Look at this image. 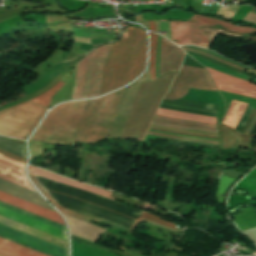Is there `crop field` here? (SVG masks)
I'll return each mask as SVG.
<instances>
[{
    "mask_svg": "<svg viewBox=\"0 0 256 256\" xmlns=\"http://www.w3.org/2000/svg\"><path fill=\"white\" fill-rule=\"evenodd\" d=\"M176 73L152 82L149 66L133 84L107 96L89 101L64 103L53 109L33 135V140L73 145L91 143L107 137L144 138L162 97Z\"/></svg>",
    "mask_w": 256,
    "mask_h": 256,
    "instance_id": "obj_1",
    "label": "crop field"
},
{
    "mask_svg": "<svg viewBox=\"0 0 256 256\" xmlns=\"http://www.w3.org/2000/svg\"><path fill=\"white\" fill-rule=\"evenodd\" d=\"M128 39L121 38L114 43L105 62L102 75L100 95L119 88L132 81L139 75L146 59L147 38L146 32L132 27L127 28Z\"/></svg>",
    "mask_w": 256,
    "mask_h": 256,
    "instance_id": "obj_2",
    "label": "crop field"
},
{
    "mask_svg": "<svg viewBox=\"0 0 256 256\" xmlns=\"http://www.w3.org/2000/svg\"><path fill=\"white\" fill-rule=\"evenodd\" d=\"M227 30L236 31L239 33H246L256 31V29L246 28V27H237L230 23L205 18L203 16L194 15L191 19L186 22H170V29L172 32V42L177 45H186V44H201V43H212L218 34L229 36V37H247L255 34L256 32L239 34L236 32H231ZM205 26H213L214 27H204ZM202 26V27H201ZM205 35L208 37H205Z\"/></svg>",
    "mask_w": 256,
    "mask_h": 256,
    "instance_id": "obj_3",
    "label": "crop field"
},
{
    "mask_svg": "<svg viewBox=\"0 0 256 256\" xmlns=\"http://www.w3.org/2000/svg\"><path fill=\"white\" fill-rule=\"evenodd\" d=\"M111 46L98 47L79 62L72 99L99 95L102 70Z\"/></svg>",
    "mask_w": 256,
    "mask_h": 256,
    "instance_id": "obj_4",
    "label": "crop field"
},
{
    "mask_svg": "<svg viewBox=\"0 0 256 256\" xmlns=\"http://www.w3.org/2000/svg\"><path fill=\"white\" fill-rule=\"evenodd\" d=\"M46 111L29 102L0 111V134L26 139Z\"/></svg>",
    "mask_w": 256,
    "mask_h": 256,
    "instance_id": "obj_5",
    "label": "crop field"
},
{
    "mask_svg": "<svg viewBox=\"0 0 256 256\" xmlns=\"http://www.w3.org/2000/svg\"><path fill=\"white\" fill-rule=\"evenodd\" d=\"M29 171H30V172H33V173H36V174H39V175H42V176H45V177H48V178H50V179H53V180L62 182V183H65V184H68V185H71V186H74V187H77V188L86 190V191H88V192H91V193H94V194H97V195L106 197V198H111V197H109L110 194H111V192H108V191H105V190H101V189H98V188H95V187H92V186H89V185H86V184H83V183H79V182H76V181H73V180H70V179H67V178H64V177H61V176L52 174V173H48V172H45V171H42V170H39V169L30 167V166H29ZM30 172H29V176H30L31 180L34 182V184H35V185L38 187V189L46 196V198H47L53 205H55L62 213L67 214V215H70V216H73V217H76V218H78V219H81V220H84V221H87V222L90 221V219H87V218H84V217H81V216H78V215H75V214H72V213H69V212L64 211V210L51 198V196L41 187V185L36 181L37 179H35L34 174H33V173H30ZM38 181H41V180H38ZM41 182H44V183H47V184H49V185H52V186L61 188V189H63V190H66V191L75 193V194H77V195H80V196L89 198V197H87V196H84V195L78 194V193H76V192H73V191L64 189V188H62V187L53 185V184H51V183H48V182H45V181H41ZM89 199L94 200V201H97V202H100V201L95 200V199H92V198H89ZM111 199H114V198H111ZM100 203H103V202H100ZM103 204L108 205V206H111V205L106 204V203H103ZM111 207H114V206H111ZM114 208H117V207H114ZM117 209L122 210V211H125V210L120 209V208H117ZM125 212L130 213V214H132V215H135V216L139 217V218L129 227V229H131V230H133V229L141 222L142 219L147 220V221H150V222H154V223H157V224L166 226V227H170V228L176 229L175 226H174V224L169 223V222H166V221H164V220H161V219H159V217L154 216V215H152V214H150V213L144 212L141 216H139V215H136V214L131 213V212H128V211H125Z\"/></svg>",
    "mask_w": 256,
    "mask_h": 256,
    "instance_id": "obj_6",
    "label": "crop field"
},
{
    "mask_svg": "<svg viewBox=\"0 0 256 256\" xmlns=\"http://www.w3.org/2000/svg\"><path fill=\"white\" fill-rule=\"evenodd\" d=\"M188 88L217 91L206 70L182 66L164 99H179L186 95Z\"/></svg>",
    "mask_w": 256,
    "mask_h": 256,
    "instance_id": "obj_7",
    "label": "crop field"
},
{
    "mask_svg": "<svg viewBox=\"0 0 256 256\" xmlns=\"http://www.w3.org/2000/svg\"><path fill=\"white\" fill-rule=\"evenodd\" d=\"M0 212H2V213H4V214H7V215H10V216H13V217H15V218L21 219V220H23V221L29 222V223H31V224L37 225V226H39V227L45 228V229H47V230L53 231V232H55V233H58V234H61V235L67 237V230H66V228H64L65 226L62 227V226H59V225H57V224L51 223L52 221H51V222L46 221V220H44V219H41V218L36 217V216H34V215L28 214V213H26V212H23V211H21V210H18V209H16V208H13V207L8 206V205L3 204V203H0ZM2 213H0V215L5 216V217H7V218H10V219H12V220H15V221H17V222L23 223V224H25V225H28V226H30V227H33V228L38 229V230H41V231H43V232H46V233H48V234H51V235H53V236L59 237V238L64 239V240L67 241V238H66V237H63V236H61V235H58V234H55V233H53V232L47 231V230H45V229L39 228V227H37V226L31 225V224H29V223L23 222V221H21V220L12 218V217L7 216V215H4V214H2Z\"/></svg>",
    "mask_w": 256,
    "mask_h": 256,
    "instance_id": "obj_8",
    "label": "crop field"
},
{
    "mask_svg": "<svg viewBox=\"0 0 256 256\" xmlns=\"http://www.w3.org/2000/svg\"><path fill=\"white\" fill-rule=\"evenodd\" d=\"M0 236L6 237L51 256H68V250L0 225Z\"/></svg>",
    "mask_w": 256,
    "mask_h": 256,
    "instance_id": "obj_9",
    "label": "crop field"
},
{
    "mask_svg": "<svg viewBox=\"0 0 256 256\" xmlns=\"http://www.w3.org/2000/svg\"><path fill=\"white\" fill-rule=\"evenodd\" d=\"M212 75L218 89L256 98V86L249 84L248 81L241 80L216 70L206 67Z\"/></svg>",
    "mask_w": 256,
    "mask_h": 256,
    "instance_id": "obj_10",
    "label": "crop field"
},
{
    "mask_svg": "<svg viewBox=\"0 0 256 256\" xmlns=\"http://www.w3.org/2000/svg\"><path fill=\"white\" fill-rule=\"evenodd\" d=\"M24 169V163L0 155V178L35 191L29 183Z\"/></svg>",
    "mask_w": 256,
    "mask_h": 256,
    "instance_id": "obj_11",
    "label": "crop field"
},
{
    "mask_svg": "<svg viewBox=\"0 0 256 256\" xmlns=\"http://www.w3.org/2000/svg\"><path fill=\"white\" fill-rule=\"evenodd\" d=\"M183 54L179 47L162 38L159 75L178 70Z\"/></svg>",
    "mask_w": 256,
    "mask_h": 256,
    "instance_id": "obj_12",
    "label": "crop field"
},
{
    "mask_svg": "<svg viewBox=\"0 0 256 256\" xmlns=\"http://www.w3.org/2000/svg\"><path fill=\"white\" fill-rule=\"evenodd\" d=\"M0 200L5 201L7 203H10L12 205L18 206L20 208H23L25 210H28L30 212L36 213L38 215H41L43 217L49 218L51 220H54L56 222L64 224L61 216L51 210H48L46 208H43L41 206L35 205L33 203L27 202L25 200H22L20 198L14 197L12 195H9L7 193L0 191ZM65 225V224H64Z\"/></svg>",
    "mask_w": 256,
    "mask_h": 256,
    "instance_id": "obj_13",
    "label": "crop field"
},
{
    "mask_svg": "<svg viewBox=\"0 0 256 256\" xmlns=\"http://www.w3.org/2000/svg\"><path fill=\"white\" fill-rule=\"evenodd\" d=\"M0 190L33 202L35 204L41 205L48 209L54 210L42 199V197L38 193L5 181L3 179H0Z\"/></svg>",
    "mask_w": 256,
    "mask_h": 256,
    "instance_id": "obj_14",
    "label": "crop field"
},
{
    "mask_svg": "<svg viewBox=\"0 0 256 256\" xmlns=\"http://www.w3.org/2000/svg\"><path fill=\"white\" fill-rule=\"evenodd\" d=\"M0 254L4 256H45L0 238Z\"/></svg>",
    "mask_w": 256,
    "mask_h": 256,
    "instance_id": "obj_15",
    "label": "crop field"
},
{
    "mask_svg": "<svg viewBox=\"0 0 256 256\" xmlns=\"http://www.w3.org/2000/svg\"><path fill=\"white\" fill-rule=\"evenodd\" d=\"M247 106V103L232 100L225 116L222 121L223 124L235 129L239 120L241 119L243 112Z\"/></svg>",
    "mask_w": 256,
    "mask_h": 256,
    "instance_id": "obj_16",
    "label": "crop field"
},
{
    "mask_svg": "<svg viewBox=\"0 0 256 256\" xmlns=\"http://www.w3.org/2000/svg\"><path fill=\"white\" fill-rule=\"evenodd\" d=\"M153 122L216 130V125H213V124L181 120V119L163 117V116H158V115L155 116Z\"/></svg>",
    "mask_w": 256,
    "mask_h": 256,
    "instance_id": "obj_17",
    "label": "crop field"
},
{
    "mask_svg": "<svg viewBox=\"0 0 256 256\" xmlns=\"http://www.w3.org/2000/svg\"><path fill=\"white\" fill-rule=\"evenodd\" d=\"M80 58H82V57H80ZM80 58H78V59H80ZM78 59L72 61V63L69 65V67H68L65 71L59 73L51 82H49V83H48L47 85H45L43 88L37 90L36 92H34V93H32V94H30V95H28V96H26V97L21 98V99L15 101V102H13V103H10V104H8V105L2 106V107H0V109L7 108V107H11V106H15V105H17V104H19V103H21V102H25V101H27V100H29V99H32V98H34V97H36V96H38V95L44 93V92H45L46 90H48L51 86H53L56 82H58L61 78H63V77L69 72V70L74 66V64L76 63V61H77ZM51 88H52V87H51Z\"/></svg>",
    "mask_w": 256,
    "mask_h": 256,
    "instance_id": "obj_18",
    "label": "crop field"
},
{
    "mask_svg": "<svg viewBox=\"0 0 256 256\" xmlns=\"http://www.w3.org/2000/svg\"><path fill=\"white\" fill-rule=\"evenodd\" d=\"M157 114L158 115H164V116H170V117H176V118H182V119H188V120H194V121L216 124V118L206 117V116H201V115H195V114H190V113H185V112H179V111H173V110H167V109L159 108Z\"/></svg>",
    "mask_w": 256,
    "mask_h": 256,
    "instance_id": "obj_19",
    "label": "crop field"
},
{
    "mask_svg": "<svg viewBox=\"0 0 256 256\" xmlns=\"http://www.w3.org/2000/svg\"><path fill=\"white\" fill-rule=\"evenodd\" d=\"M64 85V83L62 82H58L52 89L48 90L47 92H45L44 94L40 95L39 97L35 98V99H32V100H29V101H32V102H35V103H38L40 105H43V106H48L53 94L60 90L61 87Z\"/></svg>",
    "mask_w": 256,
    "mask_h": 256,
    "instance_id": "obj_20",
    "label": "crop field"
},
{
    "mask_svg": "<svg viewBox=\"0 0 256 256\" xmlns=\"http://www.w3.org/2000/svg\"><path fill=\"white\" fill-rule=\"evenodd\" d=\"M150 37H151L150 67H151V77H152V80H154L155 79V56H156L158 35L154 33H150Z\"/></svg>",
    "mask_w": 256,
    "mask_h": 256,
    "instance_id": "obj_21",
    "label": "crop field"
},
{
    "mask_svg": "<svg viewBox=\"0 0 256 256\" xmlns=\"http://www.w3.org/2000/svg\"><path fill=\"white\" fill-rule=\"evenodd\" d=\"M220 134H221V148H229V128L223 125H220Z\"/></svg>",
    "mask_w": 256,
    "mask_h": 256,
    "instance_id": "obj_22",
    "label": "crop field"
},
{
    "mask_svg": "<svg viewBox=\"0 0 256 256\" xmlns=\"http://www.w3.org/2000/svg\"><path fill=\"white\" fill-rule=\"evenodd\" d=\"M238 7H221L219 8V10L217 11L216 15L220 16V17H224V18H228L231 19V17L233 16V14L237 11Z\"/></svg>",
    "mask_w": 256,
    "mask_h": 256,
    "instance_id": "obj_23",
    "label": "crop field"
},
{
    "mask_svg": "<svg viewBox=\"0 0 256 256\" xmlns=\"http://www.w3.org/2000/svg\"><path fill=\"white\" fill-rule=\"evenodd\" d=\"M148 134H150V135L164 136V137H170V138H175V139H182V140H190V141H197V142H203V143L218 144V142H215V141H208V140H202V139H195V138H188V137L173 136V135L161 134V133L150 132V131H148Z\"/></svg>",
    "mask_w": 256,
    "mask_h": 256,
    "instance_id": "obj_24",
    "label": "crop field"
},
{
    "mask_svg": "<svg viewBox=\"0 0 256 256\" xmlns=\"http://www.w3.org/2000/svg\"><path fill=\"white\" fill-rule=\"evenodd\" d=\"M23 12V8L10 9V10H0V21L6 19L10 16L16 15Z\"/></svg>",
    "mask_w": 256,
    "mask_h": 256,
    "instance_id": "obj_25",
    "label": "crop field"
},
{
    "mask_svg": "<svg viewBox=\"0 0 256 256\" xmlns=\"http://www.w3.org/2000/svg\"><path fill=\"white\" fill-rule=\"evenodd\" d=\"M182 48H183V47H182ZM183 49H184V50H187V51L196 52V53L202 54V55H204V56L210 57V58H212V59L218 60V61L223 62V63H225V64H227V65H229V66H232V67H234V68H237V69H239V70H241V71L244 70L243 68H240V67H238V66H235V65H232V64L227 63V62H225V61H222V60H220V59H218V58H216V57H214V56H211V55H209V54H206V53H204V52L195 51V50H191V49H187V48H183Z\"/></svg>",
    "mask_w": 256,
    "mask_h": 256,
    "instance_id": "obj_26",
    "label": "crop field"
},
{
    "mask_svg": "<svg viewBox=\"0 0 256 256\" xmlns=\"http://www.w3.org/2000/svg\"><path fill=\"white\" fill-rule=\"evenodd\" d=\"M0 154L5 155V156L10 157V158H13V159H16V160H19V161L24 162V163H25V161H26V160L23 159V158H20V157H18V156L12 155V154L7 153V152L2 151V150H0Z\"/></svg>",
    "mask_w": 256,
    "mask_h": 256,
    "instance_id": "obj_27",
    "label": "crop field"
},
{
    "mask_svg": "<svg viewBox=\"0 0 256 256\" xmlns=\"http://www.w3.org/2000/svg\"><path fill=\"white\" fill-rule=\"evenodd\" d=\"M155 125V124H154ZM162 126V125H161ZM168 127V126H167ZM174 128V127H171ZM176 129H180V128H176ZM181 130H186V131H192V132H200V133H211V134H217L216 132H212V131H201V130H189V129H181Z\"/></svg>",
    "mask_w": 256,
    "mask_h": 256,
    "instance_id": "obj_28",
    "label": "crop field"
},
{
    "mask_svg": "<svg viewBox=\"0 0 256 256\" xmlns=\"http://www.w3.org/2000/svg\"><path fill=\"white\" fill-rule=\"evenodd\" d=\"M250 138L242 139V147H249Z\"/></svg>",
    "mask_w": 256,
    "mask_h": 256,
    "instance_id": "obj_29",
    "label": "crop field"
},
{
    "mask_svg": "<svg viewBox=\"0 0 256 256\" xmlns=\"http://www.w3.org/2000/svg\"><path fill=\"white\" fill-rule=\"evenodd\" d=\"M256 123V115L251 123V125L249 126V128L247 129V131L245 132V134H249L250 130L252 129V127L254 126V124Z\"/></svg>",
    "mask_w": 256,
    "mask_h": 256,
    "instance_id": "obj_30",
    "label": "crop field"
},
{
    "mask_svg": "<svg viewBox=\"0 0 256 256\" xmlns=\"http://www.w3.org/2000/svg\"><path fill=\"white\" fill-rule=\"evenodd\" d=\"M148 24H149L150 30L156 32V30H155V25H154V21H148Z\"/></svg>",
    "mask_w": 256,
    "mask_h": 256,
    "instance_id": "obj_31",
    "label": "crop field"
}]
</instances>
